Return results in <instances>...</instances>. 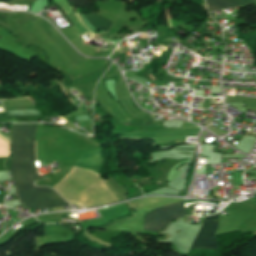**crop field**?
<instances>
[{
	"instance_id": "8a807250",
	"label": "crop field",
	"mask_w": 256,
	"mask_h": 256,
	"mask_svg": "<svg viewBox=\"0 0 256 256\" xmlns=\"http://www.w3.org/2000/svg\"><path fill=\"white\" fill-rule=\"evenodd\" d=\"M35 124L12 125L13 162L11 177L22 205L28 208L68 206L53 189L35 187L39 178L35 161L40 163L72 161L69 143L34 141ZM44 166V164H40Z\"/></svg>"
},
{
	"instance_id": "ac0d7876",
	"label": "crop field",
	"mask_w": 256,
	"mask_h": 256,
	"mask_svg": "<svg viewBox=\"0 0 256 256\" xmlns=\"http://www.w3.org/2000/svg\"><path fill=\"white\" fill-rule=\"evenodd\" d=\"M183 201L147 213L144 220V230L161 231L165 226L182 216H186Z\"/></svg>"
},
{
	"instance_id": "34b2d1b8",
	"label": "crop field",
	"mask_w": 256,
	"mask_h": 256,
	"mask_svg": "<svg viewBox=\"0 0 256 256\" xmlns=\"http://www.w3.org/2000/svg\"><path fill=\"white\" fill-rule=\"evenodd\" d=\"M218 215L206 217L204 225L197 235L191 249L216 250L214 234L218 229Z\"/></svg>"
},
{
	"instance_id": "412701ff",
	"label": "crop field",
	"mask_w": 256,
	"mask_h": 256,
	"mask_svg": "<svg viewBox=\"0 0 256 256\" xmlns=\"http://www.w3.org/2000/svg\"><path fill=\"white\" fill-rule=\"evenodd\" d=\"M5 109L35 108L29 99L3 101ZM6 113H0V116L15 115H41L37 109L5 110Z\"/></svg>"
},
{
	"instance_id": "f4fd0767",
	"label": "crop field",
	"mask_w": 256,
	"mask_h": 256,
	"mask_svg": "<svg viewBox=\"0 0 256 256\" xmlns=\"http://www.w3.org/2000/svg\"><path fill=\"white\" fill-rule=\"evenodd\" d=\"M208 11H216L230 7L256 3L254 0H206Z\"/></svg>"
},
{
	"instance_id": "dd49c442",
	"label": "crop field",
	"mask_w": 256,
	"mask_h": 256,
	"mask_svg": "<svg viewBox=\"0 0 256 256\" xmlns=\"http://www.w3.org/2000/svg\"><path fill=\"white\" fill-rule=\"evenodd\" d=\"M83 16L90 22V24L96 29L107 31L112 22L98 16V15H85Z\"/></svg>"
},
{
	"instance_id": "e52e79f7",
	"label": "crop field",
	"mask_w": 256,
	"mask_h": 256,
	"mask_svg": "<svg viewBox=\"0 0 256 256\" xmlns=\"http://www.w3.org/2000/svg\"><path fill=\"white\" fill-rule=\"evenodd\" d=\"M0 138L4 141H6L7 143H9V140L3 136L0 135ZM0 139V157H8L9 155V144H7L6 142L2 141Z\"/></svg>"
},
{
	"instance_id": "d8731c3e",
	"label": "crop field",
	"mask_w": 256,
	"mask_h": 256,
	"mask_svg": "<svg viewBox=\"0 0 256 256\" xmlns=\"http://www.w3.org/2000/svg\"><path fill=\"white\" fill-rule=\"evenodd\" d=\"M9 0H0V2H4V3H6V2H8Z\"/></svg>"
}]
</instances>
